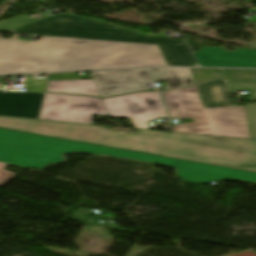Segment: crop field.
<instances>
[{"label":"crop field","mask_w":256,"mask_h":256,"mask_svg":"<svg viewBox=\"0 0 256 256\" xmlns=\"http://www.w3.org/2000/svg\"><path fill=\"white\" fill-rule=\"evenodd\" d=\"M0 127L256 171V141L145 130L127 134L103 127L4 117H0Z\"/></svg>","instance_id":"1"},{"label":"crop field","mask_w":256,"mask_h":256,"mask_svg":"<svg viewBox=\"0 0 256 256\" xmlns=\"http://www.w3.org/2000/svg\"><path fill=\"white\" fill-rule=\"evenodd\" d=\"M2 39L0 74L167 66L157 45L42 36Z\"/></svg>","instance_id":"2"},{"label":"crop field","mask_w":256,"mask_h":256,"mask_svg":"<svg viewBox=\"0 0 256 256\" xmlns=\"http://www.w3.org/2000/svg\"><path fill=\"white\" fill-rule=\"evenodd\" d=\"M70 152L107 154L174 166L178 176L188 182L209 183L222 179L256 182V173L252 172L0 129L2 162L42 169L47 164L64 161L61 155Z\"/></svg>","instance_id":"3"},{"label":"crop field","mask_w":256,"mask_h":256,"mask_svg":"<svg viewBox=\"0 0 256 256\" xmlns=\"http://www.w3.org/2000/svg\"><path fill=\"white\" fill-rule=\"evenodd\" d=\"M51 36L158 44L169 66H197L185 41L154 37L65 12L10 30Z\"/></svg>","instance_id":"4"},{"label":"crop field","mask_w":256,"mask_h":256,"mask_svg":"<svg viewBox=\"0 0 256 256\" xmlns=\"http://www.w3.org/2000/svg\"><path fill=\"white\" fill-rule=\"evenodd\" d=\"M170 117L193 118L194 122L173 126L171 131L250 139L245 108L202 107L197 86L161 92Z\"/></svg>","instance_id":"5"},{"label":"crop field","mask_w":256,"mask_h":256,"mask_svg":"<svg viewBox=\"0 0 256 256\" xmlns=\"http://www.w3.org/2000/svg\"><path fill=\"white\" fill-rule=\"evenodd\" d=\"M101 114H108L101 98L46 93L39 119L92 124Z\"/></svg>","instance_id":"6"},{"label":"crop field","mask_w":256,"mask_h":256,"mask_svg":"<svg viewBox=\"0 0 256 256\" xmlns=\"http://www.w3.org/2000/svg\"><path fill=\"white\" fill-rule=\"evenodd\" d=\"M112 117H131L135 128L150 129L147 121L167 117L159 92L102 99Z\"/></svg>","instance_id":"7"},{"label":"crop field","mask_w":256,"mask_h":256,"mask_svg":"<svg viewBox=\"0 0 256 256\" xmlns=\"http://www.w3.org/2000/svg\"><path fill=\"white\" fill-rule=\"evenodd\" d=\"M101 97L147 90L151 84L147 69L90 72Z\"/></svg>","instance_id":"8"},{"label":"crop field","mask_w":256,"mask_h":256,"mask_svg":"<svg viewBox=\"0 0 256 256\" xmlns=\"http://www.w3.org/2000/svg\"><path fill=\"white\" fill-rule=\"evenodd\" d=\"M194 54L200 66L256 68V50L227 52L223 48L202 47Z\"/></svg>","instance_id":"9"},{"label":"crop field","mask_w":256,"mask_h":256,"mask_svg":"<svg viewBox=\"0 0 256 256\" xmlns=\"http://www.w3.org/2000/svg\"><path fill=\"white\" fill-rule=\"evenodd\" d=\"M45 93H0V116L39 118Z\"/></svg>","instance_id":"10"},{"label":"crop field","mask_w":256,"mask_h":256,"mask_svg":"<svg viewBox=\"0 0 256 256\" xmlns=\"http://www.w3.org/2000/svg\"><path fill=\"white\" fill-rule=\"evenodd\" d=\"M197 86L205 108L234 106L225 81H210Z\"/></svg>","instance_id":"11"},{"label":"crop field","mask_w":256,"mask_h":256,"mask_svg":"<svg viewBox=\"0 0 256 256\" xmlns=\"http://www.w3.org/2000/svg\"><path fill=\"white\" fill-rule=\"evenodd\" d=\"M150 71L153 81H165L168 90L194 84L189 68H157Z\"/></svg>","instance_id":"12"},{"label":"crop field","mask_w":256,"mask_h":256,"mask_svg":"<svg viewBox=\"0 0 256 256\" xmlns=\"http://www.w3.org/2000/svg\"><path fill=\"white\" fill-rule=\"evenodd\" d=\"M94 81V80H93ZM92 80L49 81L46 92H62L100 97Z\"/></svg>","instance_id":"13"},{"label":"crop field","mask_w":256,"mask_h":256,"mask_svg":"<svg viewBox=\"0 0 256 256\" xmlns=\"http://www.w3.org/2000/svg\"><path fill=\"white\" fill-rule=\"evenodd\" d=\"M227 80L256 82V70L223 69Z\"/></svg>","instance_id":"14"},{"label":"crop field","mask_w":256,"mask_h":256,"mask_svg":"<svg viewBox=\"0 0 256 256\" xmlns=\"http://www.w3.org/2000/svg\"><path fill=\"white\" fill-rule=\"evenodd\" d=\"M191 69L196 83L210 79L224 80V77L220 69Z\"/></svg>","instance_id":"15"},{"label":"crop field","mask_w":256,"mask_h":256,"mask_svg":"<svg viewBox=\"0 0 256 256\" xmlns=\"http://www.w3.org/2000/svg\"><path fill=\"white\" fill-rule=\"evenodd\" d=\"M36 20H39V19L20 15V16L0 22V31H7Z\"/></svg>","instance_id":"16"},{"label":"crop field","mask_w":256,"mask_h":256,"mask_svg":"<svg viewBox=\"0 0 256 256\" xmlns=\"http://www.w3.org/2000/svg\"><path fill=\"white\" fill-rule=\"evenodd\" d=\"M251 139H256V103L245 105Z\"/></svg>","instance_id":"17"},{"label":"crop field","mask_w":256,"mask_h":256,"mask_svg":"<svg viewBox=\"0 0 256 256\" xmlns=\"http://www.w3.org/2000/svg\"><path fill=\"white\" fill-rule=\"evenodd\" d=\"M231 92L236 93L238 90H251L249 93L251 100H256V83L228 82Z\"/></svg>","instance_id":"18"},{"label":"crop field","mask_w":256,"mask_h":256,"mask_svg":"<svg viewBox=\"0 0 256 256\" xmlns=\"http://www.w3.org/2000/svg\"><path fill=\"white\" fill-rule=\"evenodd\" d=\"M48 80H34L31 75L24 76V85L27 91H44Z\"/></svg>","instance_id":"19"},{"label":"crop field","mask_w":256,"mask_h":256,"mask_svg":"<svg viewBox=\"0 0 256 256\" xmlns=\"http://www.w3.org/2000/svg\"><path fill=\"white\" fill-rule=\"evenodd\" d=\"M7 164L0 163V187L7 183L16 173L3 170Z\"/></svg>","instance_id":"20"}]
</instances>
